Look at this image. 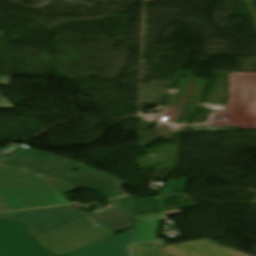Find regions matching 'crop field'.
Wrapping results in <instances>:
<instances>
[{
  "instance_id": "crop-field-1",
  "label": "crop field",
  "mask_w": 256,
  "mask_h": 256,
  "mask_svg": "<svg viewBox=\"0 0 256 256\" xmlns=\"http://www.w3.org/2000/svg\"><path fill=\"white\" fill-rule=\"evenodd\" d=\"M78 186L38 173L0 184V207L4 211L70 203L63 195Z\"/></svg>"
},
{
  "instance_id": "crop-field-6",
  "label": "crop field",
  "mask_w": 256,
  "mask_h": 256,
  "mask_svg": "<svg viewBox=\"0 0 256 256\" xmlns=\"http://www.w3.org/2000/svg\"><path fill=\"white\" fill-rule=\"evenodd\" d=\"M60 180L96 191L107 199L127 194L123 187L128 183L88 166L71 172Z\"/></svg>"
},
{
  "instance_id": "crop-field-4",
  "label": "crop field",
  "mask_w": 256,
  "mask_h": 256,
  "mask_svg": "<svg viewBox=\"0 0 256 256\" xmlns=\"http://www.w3.org/2000/svg\"><path fill=\"white\" fill-rule=\"evenodd\" d=\"M0 256H53L30 236L27 229L13 221H0Z\"/></svg>"
},
{
  "instance_id": "crop-field-12",
  "label": "crop field",
  "mask_w": 256,
  "mask_h": 256,
  "mask_svg": "<svg viewBox=\"0 0 256 256\" xmlns=\"http://www.w3.org/2000/svg\"><path fill=\"white\" fill-rule=\"evenodd\" d=\"M0 85L10 86L9 77L0 76ZM0 108H14V107L0 95Z\"/></svg>"
},
{
  "instance_id": "crop-field-8",
  "label": "crop field",
  "mask_w": 256,
  "mask_h": 256,
  "mask_svg": "<svg viewBox=\"0 0 256 256\" xmlns=\"http://www.w3.org/2000/svg\"><path fill=\"white\" fill-rule=\"evenodd\" d=\"M175 256H238L205 240L168 247Z\"/></svg>"
},
{
  "instance_id": "crop-field-11",
  "label": "crop field",
  "mask_w": 256,
  "mask_h": 256,
  "mask_svg": "<svg viewBox=\"0 0 256 256\" xmlns=\"http://www.w3.org/2000/svg\"><path fill=\"white\" fill-rule=\"evenodd\" d=\"M33 173V171H29L19 167H9L0 164V182L10 180L16 177H20L26 174Z\"/></svg>"
},
{
  "instance_id": "crop-field-3",
  "label": "crop field",
  "mask_w": 256,
  "mask_h": 256,
  "mask_svg": "<svg viewBox=\"0 0 256 256\" xmlns=\"http://www.w3.org/2000/svg\"><path fill=\"white\" fill-rule=\"evenodd\" d=\"M72 207H55L27 211L0 213V220L13 219L29 227L33 236H39L59 226L85 216Z\"/></svg>"
},
{
  "instance_id": "crop-field-2",
  "label": "crop field",
  "mask_w": 256,
  "mask_h": 256,
  "mask_svg": "<svg viewBox=\"0 0 256 256\" xmlns=\"http://www.w3.org/2000/svg\"><path fill=\"white\" fill-rule=\"evenodd\" d=\"M88 216L36 237L38 242L59 256H64L114 235Z\"/></svg>"
},
{
  "instance_id": "crop-field-9",
  "label": "crop field",
  "mask_w": 256,
  "mask_h": 256,
  "mask_svg": "<svg viewBox=\"0 0 256 256\" xmlns=\"http://www.w3.org/2000/svg\"><path fill=\"white\" fill-rule=\"evenodd\" d=\"M164 220L166 219L163 212L135 216L134 242L157 240L155 232Z\"/></svg>"
},
{
  "instance_id": "crop-field-7",
  "label": "crop field",
  "mask_w": 256,
  "mask_h": 256,
  "mask_svg": "<svg viewBox=\"0 0 256 256\" xmlns=\"http://www.w3.org/2000/svg\"><path fill=\"white\" fill-rule=\"evenodd\" d=\"M132 229L70 256H129Z\"/></svg>"
},
{
  "instance_id": "crop-field-10",
  "label": "crop field",
  "mask_w": 256,
  "mask_h": 256,
  "mask_svg": "<svg viewBox=\"0 0 256 256\" xmlns=\"http://www.w3.org/2000/svg\"><path fill=\"white\" fill-rule=\"evenodd\" d=\"M110 202L121 212H123L128 218L134 221L135 199L133 196L122 197Z\"/></svg>"
},
{
  "instance_id": "crop-field-5",
  "label": "crop field",
  "mask_w": 256,
  "mask_h": 256,
  "mask_svg": "<svg viewBox=\"0 0 256 256\" xmlns=\"http://www.w3.org/2000/svg\"><path fill=\"white\" fill-rule=\"evenodd\" d=\"M14 152H18L20 154L12 159L7 165L27 167L57 179L74 169H79L84 166L58 156L33 149L20 148Z\"/></svg>"
}]
</instances>
